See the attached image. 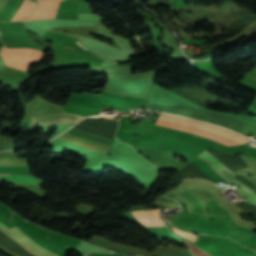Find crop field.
Instances as JSON below:
<instances>
[{
  "instance_id": "8",
  "label": "crop field",
  "mask_w": 256,
  "mask_h": 256,
  "mask_svg": "<svg viewBox=\"0 0 256 256\" xmlns=\"http://www.w3.org/2000/svg\"><path fill=\"white\" fill-rule=\"evenodd\" d=\"M36 5H37L36 3L30 0H24L21 8L19 9V11L17 12V14L15 15L12 21L27 20L28 17L32 14Z\"/></svg>"
},
{
  "instance_id": "10",
  "label": "crop field",
  "mask_w": 256,
  "mask_h": 256,
  "mask_svg": "<svg viewBox=\"0 0 256 256\" xmlns=\"http://www.w3.org/2000/svg\"><path fill=\"white\" fill-rule=\"evenodd\" d=\"M237 185H239L241 188H239L242 192H244L247 196H249V199L253 201L256 204V193L253 192L250 188H248L246 185H244L242 182L234 179L232 180Z\"/></svg>"
},
{
  "instance_id": "3",
  "label": "crop field",
  "mask_w": 256,
  "mask_h": 256,
  "mask_svg": "<svg viewBox=\"0 0 256 256\" xmlns=\"http://www.w3.org/2000/svg\"><path fill=\"white\" fill-rule=\"evenodd\" d=\"M0 230L9 236L13 241L23 247L27 252L36 256H58L31 241L21 230L16 226L12 229L6 228L0 223Z\"/></svg>"
},
{
  "instance_id": "12",
  "label": "crop field",
  "mask_w": 256,
  "mask_h": 256,
  "mask_svg": "<svg viewBox=\"0 0 256 256\" xmlns=\"http://www.w3.org/2000/svg\"><path fill=\"white\" fill-rule=\"evenodd\" d=\"M152 206L170 208V207L177 206V204L174 203V202H167V201H155V202L152 204Z\"/></svg>"
},
{
  "instance_id": "6",
  "label": "crop field",
  "mask_w": 256,
  "mask_h": 256,
  "mask_svg": "<svg viewBox=\"0 0 256 256\" xmlns=\"http://www.w3.org/2000/svg\"><path fill=\"white\" fill-rule=\"evenodd\" d=\"M0 53L2 57L42 58V52L28 48L11 49L2 47Z\"/></svg>"
},
{
  "instance_id": "9",
  "label": "crop field",
  "mask_w": 256,
  "mask_h": 256,
  "mask_svg": "<svg viewBox=\"0 0 256 256\" xmlns=\"http://www.w3.org/2000/svg\"><path fill=\"white\" fill-rule=\"evenodd\" d=\"M0 180H5L7 182L13 183H23V184H33L41 185L42 180L36 179L32 176H0Z\"/></svg>"
},
{
  "instance_id": "14",
  "label": "crop field",
  "mask_w": 256,
  "mask_h": 256,
  "mask_svg": "<svg viewBox=\"0 0 256 256\" xmlns=\"http://www.w3.org/2000/svg\"><path fill=\"white\" fill-rule=\"evenodd\" d=\"M252 70L256 71V68H254V69H252Z\"/></svg>"
},
{
  "instance_id": "7",
  "label": "crop field",
  "mask_w": 256,
  "mask_h": 256,
  "mask_svg": "<svg viewBox=\"0 0 256 256\" xmlns=\"http://www.w3.org/2000/svg\"><path fill=\"white\" fill-rule=\"evenodd\" d=\"M132 213L146 227L160 226L155 218L154 210L133 211Z\"/></svg>"
},
{
  "instance_id": "1",
  "label": "crop field",
  "mask_w": 256,
  "mask_h": 256,
  "mask_svg": "<svg viewBox=\"0 0 256 256\" xmlns=\"http://www.w3.org/2000/svg\"><path fill=\"white\" fill-rule=\"evenodd\" d=\"M160 118L169 120V121L186 124V125H190V126H194V127H198V128H202V129H206L208 131H211L216 134L222 135L224 137L230 138V139L237 141L241 144L249 142V139H247L241 135H238L233 132L227 131L223 128L205 124L202 122H198V121H194V120H190V119H186V118H182V117H178V116H174V115L164 114V113L161 114ZM161 119H158V121L156 122L157 125L167 126V127H171L174 129L184 131V132H188V133H192V134L199 135L202 137H206V138L221 142L223 144H226L228 146L240 145L237 142H234L230 139L216 135L214 133L208 132L206 130L189 127V126H185V125H181V124H177V123H173V122H169V121H165V120H161Z\"/></svg>"
},
{
  "instance_id": "5",
  "label": "crop field",
  "mask_w": 256,
  "mask_h": 256,
  "mask_svg": "<svg viewBox=\"0 0 256 256\" xmlns=\"http://www.w3.org/2000/svg\"><path fill=\"white\" fill-rule=\"evenodd\" d=\"M39 5L36 8L33 19H49L54 18L57 12L58 5L62 0H37Z\"/></svg>"
},
{
  "instance_id": "2",
  "label": "crop field",
  "mask_w": 256,
  "mask_h": 256,
  "mask_svg": "<svg viewBox=\"0 0 256 256\" xmlns=\"http://www.w3.org/2000/svg\"><path fill=\"white\" fill-rule=\"evenodd\" d=\"M57 139L67 141L103 154H109L112 140L69 129Z\"/></svg>"
},
{
  "instance_id": "11",
  "label": "crop field",
  "mask_w": 256,
  "mask_h": 256,
  "mask_svg": "<svg viewBox=\"0 0 256 256\" xmlns=\"http://www.w3.org/2000/svg\"><path fill=\"white\" fill-rule=\"evenodd\" d=\"M203 158H205L207 161H209L213 166H215L217 169L220 167H225L223 164H221L216 158H214L210 153H208L206 150L200 154ZM226 168V167H225Z\"/></svg>"
},
{
  "instance_id": "4",
  "label": "crop field",
  "mask_w": 256,
  "mask_h": 256,
  "mask_svg": "<svg viewBox=\"0 0 256 256\" xmlns=\"http://www.w3.org/2000/svg\"><path fill=\"white\" fill-rule=\"evenodd\" d=\"M83 119V117L68 113L37 116L33 117L32 125L76 124Z\"/></svg>"
},
{
  "instance_id": "13",
  "label": "crop field",
  "mask_w": 256,
  "mask_h": 256,
  "mask_svg": "<svg viewBox=\"0 0 256 256\" xmlns=\"http://www.w3.org/2000/svg\"><path fill=\"white\" fill-rule=\"evenodd\" d=\"M172 228V230H174L176 233H178V234H180V235H182V236H184V237H186V238H188V239H190V240H192V241H196V239H197V236L196 235H194V234H190V233H185V232H183V231H179V230H177V229H175L174 227H171Z\"/></svg>"
}]
</instances>
